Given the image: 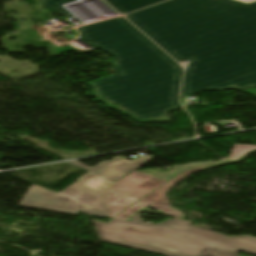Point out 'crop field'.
Returning <instances> with one entry per match:
<instances>
[{
  "label": "crop field",
  "instance_id": "obj_1",
  "mask_svg": "<svg viewBox=\"0 0 256 256\" xmlns=\"http://www.w3.org/2000/svg\"><path fill=\"white\" fill-rule=\"evenodd\" d=\"M151 38L178 61L191 60L181 96L256 87V2Z\"/></svg>",
  "mask_w": 256,
  "mask_h": 256
},
{
  "label": "crop field",
  "instance_id": "obj_2",
  "mask_svg": "<svg viewBox=\"0 0 256 256\" xmlns=\"http://www.w3.org/2000/svg\"><path fill=\"white\" fill-rule=\"evenodd\" d=\"M154 44V43H153ZM148 38L107 51L118 75L88 82L92 97L139 122H167L177 103L182 69Z\"/></svg>",
  "mask_w": 256,
  "mask_h": 256
},
{
  "label": "crop field",
  "instance_id": "obj_3",
  "mask_svg": "<svg viewBox=\"0 0 256 256\" xmlns=\"http://www.w3.org/2000/svg\"><path fill=\"white\" fill-rule=\"evenodd\" d=\"M132 219L134 222L93 221L101 241L167 256H202L208 250L226 256H240L238 252L256 255V237L225 236L192 226L191 221L167 219L147 224L140 215H132Z\"/></svg>",
  "mask_w": 256,
  "mask_h": 256
},
{
  "label": "crop field",
  "instance_id": "obj_4",
  "mask_svg": "<svg viewBox=\"0 0 256 256\" xmlns=\"http://www.w3.org/2000/svg\"><path fill=\"white\" fill-rule=\"evenodd\" d=\"M243 5L232 0H170L127 19L149 37Z\"/></svg>",
  "mask_w": 256,
  "mask_h": 256
},
{
  "label": "crop field",
  "instance_id": "obj_5",
  "mask_svg": "<svg viewBox=\"0 0 256 256\" xmlns=\"http://www.w3.org/2000/svg\"><path fill=\"white\" fill-rule=\"evenodd\" d=\"M32 187L35 188L34 191L29 190L20 203L21 206L75 215L82 211L98 217H108L101 198L109 187L76 182L58 194L34 185Z\"/></svg>",
  "mask_w": 256,
  "mask_h": 256
},
{
  "label": "crop field",
  "instance_id": "obj_6",
  "mask_svg": "<svg viewBox=\"0 0 256 256\" xmlns=\"http://www.w3.org/2000/svg\"><path fill=\"white\" fill-rule=\"evenodd\" d=\"M81 39L102 51H107L145 38L123 18H115L78 29Z\"/></svg>",
  "mask_w": 256,
  "mask_h": 256
},
{
  "label": "crop field",
  "instance_id": "obj_7",
  "mask_svg": "<svg viewBox=\"0 0 256 256\" xmlns=\"http://www.w3.org/2000/svg\"><path fill=\"white\" fill-rule=\"evenodd\" d=\"M153 158L154 157H151V156H141L133 160L132 162H129L117 156L113 160L104 161L94 166L93 168L78 161H72L71 163H76L97 175H100L102 177H105L109 180L116 182L117 180L121 179L123 176H125L129 172L137 169L138 167H140L141 165L150 161Z\"/></svg>",
  "mask_w": 256,
  "mask_h": 256
},
{
  "label": "crop field",
  "instance_id": "obj_8",
  "mask_svg": "<svg viewBox=\"0 0 256 256\" xmlns=\"http://www.w3.org/2000/svg\"><path fill=\"white\" fill-rule=\"evenodd\" d=\"M164 182L135 171L112 187L142 198Z\"/></svg>",
  "mask_w": 256,
  "mask_h": 256
},
{
  "label": "crop field",
  "instance_id": "obj_9",
  "mask_svg": "<svg viewBox=\"0 0 256 256\" xmlns=\"http://www.w3.org/2000/svg\"><path fill=\"white\" fill-rule=\"evenodd\" d=\"M140 198L110 188L103 196L102 200L110 218L114 217Z\"/></svg>",
  "mask_w": 256,
  "mask_h": 256
},
{
  "label": "crop field",
  "instance_id": "obj_10",
  "mask_svg": "<svg viewBox=\"0 0 256 256\" xmlns=\"http://www.w3.org/2000/svg\"><path fill=\"white\" fill-rule=\"evenodd\" d=\"M250 153H252V152H250ZM250 153L246 154L244 157H242L241 159H239L235 163H238V162L242 161ZM220 165H225V164H210V165L202 166V167H199V168H196V169H192V170L187 171V172H183L180 175H178L177 177H175L174 179H172L170 182H168L167 184H165L164 186L159 188L157 191H155L154 193H152L149 196H147L146 198H144V199L149 200V201L154 202V203H156L158 205H161V206H164V207H167V208L171 209L170 205H169V202H168V200L166 198V195H165V193L169 189H171L173 186H175V184L179 183L181 180H183L185 177H187L191 173H194V172H197V171H200V170H203V169L217 167V166H220ZM171 210H173V209H171ZM176 212H178V211H176Z\"/></svg>",
  "mask_w": 256,
  "mask_h": 256
},
{
  "label": "crop field",
  "instance_id": "obj_11",
  "mask_svg": "<svg viewBox=\"0 0 256 256\" xmlns=\"http://www.w3.org/2000/svg\"><path fill=\"white\" fill-rule=\"evenodd\" d=\"M254 149H256V146L234 145L230 158L228 160L222 162V163L234 162L239 157H241L243 154H245L246 152L254 150ZM205 164H209V163L196 164V165H185V166L177 167L173 171L164 172V173H156V172L151 171V170H144V171H140V172H142L144 174H147V175H150V176H153L155 178L167 181V180H169L170 178H172L173 176H175L176 174H178L179 172H181L183 170L194 168V167L205 165Z\"/></svg>",
  "mask_w": 256,
  "mask_h": 256
},
{
  "label": "crop field",
  "instance_id": "obj_12",
  "mask_svg": "<svg viewBox=\"0 0 256 256\" xmlns=\"http://www.w3.org/2000/svg\"><path fill=\"white\" fill-rule=\"evenodd\" d=\"M145 205L148 206V207H151L153 209H158L159 211L154 212V211H151V210H147V209L144 208ZM142 212H147V213H150V214H161V215L171 216V217H174V218H177V219L184 220V215L173 212V211H171L167 208L158 206L156 204H153L149 201H145L143 199L141 201H139L138 203H136L135 205H133L132 207H130L127 210L120 213L115 218L132 221V219H131L132 214H139V213H142Z\"/></svg>",
  "mask_w": 256,
  "mask_h": 256
},
{
  "label": "crop field",
  "instance_id": "obj_13",
  "mask_svg": "<svg viewBox=\"0 0 256 256\" xmlns=\"http://www.w3.org/2000/svg\"><path fill=\"white\" fill-rule=\"evenodd\" d=\"M115 9L122 14L132 12L163 0H107Z\"/></svg>",
  "mask_w": 256,
  "mask_h": 256
},
{
  "label": "crop field",
  "instance_id": "obj_14",
  "mask_svg": "<svg viewBox=\"0 0 256 256\" xmlns=\"http://www.w3.org/2000/svg\"><path fill=\"white\" fill-rule=\"evenodd\" d=\"M75 0H40L38 1L41 5L47 7L53 13H59L63 16V18L71 17L66 10L62 8V5L67 2H71Z\"/></svg>",
  "mask_w": 256,
  "mask_h": 256
},
{
  "label": "crop field",
  "instance_id": "obj_15",
  "mask_svg": "<svg viewBox=\"0 0 256 256\" xmlns=\"http://www.w3.org/2000/svg\"><path fill=\"white\" fill-rule=\"evenodd\" d=\"M83 180H86V182H83V183L95 184V185H100V186H109V185L113 184V183H111L105 179H102L90 172H88L84 176L80 177L76 181L82 182Z\"/></svg>",
  "mask_w": 256,
  "mask_h": 256
},
{
  "label": "crop field",
  "instance_id": "obj_16",
  "mask_svg": "<svg viewBox=\"0 0 256 256\" xmlns=\"http://www.w3.org/2000/svg\"><path fill=\"white\" fill-rule=\"evenodd\" d=\"M203 256H224V255L209 251V252L205 253Z\"/></svg>",
  "mask_w": 256,
  "mask_h": 256
},
{
  "label": "crop field",
  "instance_id": "obj_17",
  "mask_svg": "<svg viewBox=\"0 0 256 256\" xmlns=\"http://www.w3.org/2000/svg\"><path fill=\"white\" fill-rule=\"evenodd\" d=\"M236 1H239V2H243V3L249 4V3L255 2L256 0H236Z\"/></svg>",
  "mask_w": 256,
  "mask_h": 256
}]
</instances>
